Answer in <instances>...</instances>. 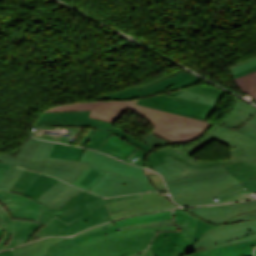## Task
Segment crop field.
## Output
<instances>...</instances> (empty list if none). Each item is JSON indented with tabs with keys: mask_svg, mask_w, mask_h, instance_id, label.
Listing matches in <instances>:
<instances>
[{
	"mask_svg": "<svg viewBox=\"0 0 256 256\" xmlns=\"http://www.w3.org/2000/svg\"><path fill=\"white\" fill-rule=\"evenodd\" d=\"M226 173H228V172H220V173H213V174H207V175H201V176L183 178V179L168 181V182H166V183H167L168 186H170V185L180 184V183L189 182V181H194V180H199V179H204V178L222 176V175H225Z\"/></svg>",
	"mask_w": 256,
	"mask_h": 256,
	"instance_id": "c21b1889",
	"label": "crop field"
},
{
	"mask_svg": "<svg viewBox=\"0 0 256 256\" xmlns=\"http://www.w3.org/2000/svg\"><path fill=\"white\" fill-rule=\"evenodd\" d=\"M181 210V212H179ZM174 221L181 227V238L175 255L184 254L190 245L196 226V218L182 209L174 210Z\"/></svg>",
	"mask_w": 256,
	"mask_h": 256,
	"instance_id": "92a150f3",
	"label": "crop field"
},
{
	"mask_svg": "<svg viewBox=\"0 0 256 256\" xmlns=\"http://www.w3.org/2000/svg\"><path fill=\"white\" fill-rule=\"evenodd\" d=\"M153 226H176V224H174L172 220H163V221L149 222V223H142V224H137L133 226L121 227L119 229L127 230V229H133V228L153 227Z\"/></svg>",
	"mask_w": 256,
	"mask_h": 256,
	"instance_id": "c035e120",
	"label": "crop field"
},
{
	"mask_svg": "<svg viewBox=\"0 0 256 256\" xmlns=\"http://www.w3.org/2000/svg\"><path fill=\"white\" fill-rule=\"evenodd\" d=\"M65 237H49L45 239L38 240L36 242L27 244L20 248H15L14 252L16 256H42L45 254L47 248L63 239Z\"/></svg>",
	"mask_w": 256,
	"mask_h": 256,
	"instance_id": "730fd06b",
	"label": "crop field"
},
{
	"mask_svg": "<svg viewBox=\"0 0 256 256\" xmlns=\"http://www.w3.org/2000/svg\"><path fill=\"white\" fill-rule=\"evenodd\" d=\"M0 256H13L12 250L6 252H0Z\"/></svg>",
	"mask_w": 256,
	"mask_h": 256,
	"instance_id": "9d1cf04e",
	"label": "crop field"
},
{
	"mask_svg": "<svg viewBox=\"0 0 256 256\" xmlns=\"http://www.w3.org/2000/svg\"><path fill=\"white\" fill-rule=\"evenodd\" d=\"M130 198H142V196L141 194H138L130 196L112 197L88 204V207L90 208L92 213L72 222L69 225L55 217L45 227H39L34 234L43 237L70 236L77 234L85 229L112 220L105 204Z\"/></svg>",
	"mask_w": 256,
	"mask_h": 256,
	"instance_id": "d8731c3e",
	"label": "crop field"
},
{
	"mask_svg": "<svg viewBox=\"0 0 256 256\" xmlns=\"http://www.w3.org/2000/svg\"><path fill=\"white\" fill-rule=\"evenodd\" d=\"M84 148L56 143L50 156L79 160Z\"/></svg>",
	"mask_w": 256,
	"mask_h": 256,
	"instance_id": "eef30255",
	"label": "crop field"
},
{
	"mask_svg": "<svg viewBox=\"0 0 256 256\" xmlns=\"http://www.w3.org/2000/svg\"><path fill=\"white\" fill-rule=\"evenodd\" d=\"M186 210L206 222L223 225L256 218V200L186 208Z\"/></svg>",
	"mask_w": 256,
	"mask_h": 256,
	"instance_id": "3316defc",
	"label": "crop field"
},
{
	"mask_svg": "<svg viewBox=\"0 0 256 256\" xmlns=\"http://www.w3.org/2000/svg\"><path fill=\"white\" fill-rule=\"evenodd\" d=\"M151 177V179L153 180L154 182V186L158 189V190H167L165 185H164V182L161 178V175H149Z\"/></svg>",
	"mask_w": 256,
	"mask_h": 256,
	"instance_id": "d23c7cc5",
	"label": "crop field"
},
{
	"mask_svg": "<svg viewBox=\"0 0 256 256\" xmlns=\"http://www.w3.org/2000/svg\"><path fill=\"white\" fill-rule=\"evenodd\" d=\"M254 70H256V66H254V67H252V68H250V69H248V70H246V71H244V72L235 74V75L233 76V78L235 79V78H237V77H239V76H242V75L247 74V73H249V72H252V71H254Z\"/></svg>",
	"mask_w": 256,
	"mask_h": 256,
	"instance_id": "0fb4a251",
	"label": "crop field"
},
{
	"mask_svg": "<svg viewBox=\"0 0 256 256\" xmlns=\"http://www.w3.org/2000/svg\"><path fill=\"white\" fill-rule=\"evenodd\" d=\"M254 59H256V57H253V58H251V59L245 60V61H243V62H241V63H238V64H235V65L229 66V69H232V68L237 67V66H239V65L245 64V63L250 62V61H252V60H254Z\"/></svg>",
	"mask_w": 256,
	"mask_h": 256,
	"instance_id": "1d79db26",
	"label": "crop field"
},
{
	"mask_svg": "<svg viewBox=\"0 0 256 256\" xmlns=\"http://www.w3.org/2000/svg\"><path fill=\"white\" fill-rule=\"evenodd\" d=\"M113 158L86 149L80 161L89 165L71 184L107 197L157 190L143 168Z\"/></svg>",
	"mask_w": 256,
	"mask_h": 256,
	"instance_id": "ac0d7876",
	"label": "crop field"
},
{
	"mask_svg": "<svg viewBox=\"0 0 256 256\" xmlns=\"http://www.w3.org/2000/svg\"><path fill=\"white\" fill-rule=\"evenodd\" d=\"M190 75L189 73L185 72V71H181L175 75H172L170 76L169 78L163 80V81H160L154 85H151L149 87H146L144 89H142L141 91H139V93L142 95V96H145V95H149L150 93L160 89V88H163L173 82H176V81H179L183 78H185L186 76Z\"/></svg>",
	"mask_w": 256,
	"mask_h": 256,
	"instance_id": "750c4746",
	"label": "crop field"
},
{
	"mask_svg": "<svg viewBox=\"0 0 256 256\" xmlns=\"http://www.w3.org/2000/svg\"><path fill=\"white\" fill-rule=\"evenodd\" d=\"M233 98L236 103L233 111L219 124L236 128L250 116L256 113V108L234 96Z\"/></svg>",
	"mask_w": 256,
	"mask_h": 256,
	"instance_id": "4177f3b9",
	"label": "crop field"
},
{
	"mask_svg": "<svg viewBox=\"0 0 256 256\" xmlns=\"http://www.w3.org/2000/svg\"><path fill=\"white\" fill-rule=\"evenodd\" d=\"M183 69H184V68H182V69H180V70H178V71H176V72H173V73H171V74H169V75H167V76H165V77H162V78H160V79H158V80H156V81H153V82H151V83H149V84H147V85H145V86H143V87L138 86V87L130 88V89L123 90V91H120V92H116V93H112V94H108V95H104V96L92 98L91 100L100 99V98H108V99H127V98L141 97L140 94L137 92L138 90H140V89H142V88H144V87H146V86H149V85H151V84H153V83H155V82H158V81H160V80H163V79L167 78L168 76H170V75H172V74H175V73H177V72H179V71H181V70H183Z\"/></svg>",
	"mask_w": 256,
	"mask_h": 256,
	"instance_id": "ae1a2a85",
	"label": "crop field"
},
{
	"mask_svg": "<svg viewBox=\"0 0 256 256\" xmlns=\"http://www.w3.org/2000/svg\"><path fill=\"white\" fill-rule=\"evenodd\" d=\"M236 130H239L256 139V114Z\"/></svg>",
	"mask_w": 256,
	"mask_h": 256,
	"instance_id": "b80d0937",
	"label": "crop field"
},
{
	"mask_svg": "<svg viewBox=\"0 0 256 256\" xmlns=\"http://www.w3.org/2000/svg\"><path fill=\"white\" fill-rule=\"evenodd\" d=\"M255 256H256V250H255Z\"/></svg>",
	"mask_w": 256,
	"mask_h": 256,
	"instance_id": "db79e9e6",
	"label": "crop field"
},
{
	"mask_svg": "<svg viewBox=\"0 0 256 256\" xmlns=\"http://www.w3.org/2000/svg\"><path fill=\"white\" fill-rule=\"evenodd\" d=\"M180 234V231L158 233L152 245H150L155 256L174 255L178 246Z\"/></svg>",
	"mask_w": 256,
	"mask_h": 256,
	"instance_id": "00972430",
	"label": "crop field"
},
{
	"mask_svg": "<svg viewBox=\"0 0 256 256\" xmlns=\"http://www.w3.org/2000/svg\"><path fill=\"white\" fill-rule=\"evenodd\" d=\"M176 227H153V228H141V229H133V230H127V231H119L115 233H109L104 236L95 237L90 240H87L84 243H80L81 246L110 237L114 235H120V234H128V233H136V232H145V231H164V230H176Z\"/></svg>",
	"mask_w": 256,
	"mask_h": 256,
	"instance_id": "bd1437ed",
	"label": "crop field"
},
{
	"mask_svg": "<svg viewBox=\"0 0 256 256\" xmlns=\"http://www.w3.org/2000/svg\"><path fill=\"white\" fill-rule=\"evenodd\" d=\"M164 159H166L168 162L155 166L151 169L156 170L157 172L163 174V177L166 181L219 171H227L222 166L211 168H195L193 166L183 164L168 156Z\"/></svg>",
	"mask_w": 256,
	"mask_h": 256,
	"instance_id": "5142ce71",
	"label": "crop field"
},
{
	"mask_svg": "<svg viewBox=\"0 0 256 256\" xmlns=\"http://www.w3.org/2000/svg\"><path fill=\"white\" fill-rule=\"evenodd\" d=\"M136 100L111 102H81L51 107L44 112L91 110L90 116L115 122L128 108L137 112L153 124V132L173 143H188L197 139L213 126L202 120L171 114L135 104Z\"/></svg>",
	"mask_w": 256,
	"mask_h": 256,
	"instance_id": "8a807250",
	"label": "crop field"
},
{
	"mask_svg": "<svg viewBox=\"0 0 256 256\" xmlns=\"http://www.w3.org/2000/svg\"><path fill=\"white\" fill-rule=\"evenodd\" d=\"M82 127L33 126L29 135L71 144ZM81 132V131H80Z\"/></svg>",
	"mask_w": 256,
	"mask_h": 256,
	"instance_id": "4a817a6b",
	"label": "crop field"
},
{
	"mask_svg": "<svg viewBox=\"0 0 256 256\" xmlns=\"http://www.w3.org/2000/svg\"><path fill=\"white\" fill-rule=\"evenodd\" d=\"M46 177V175L40 174L39 177L34 181V183H31L32 185L25 192H23V195L28 197Z\"/></svg>",
	"mask_w": 256,
	"mask_h": 256,
	"instance_id": "5d738f31",
	"label": "crop field"
},
{
	"mask_svg": "<svg viewBox=\"0 0 256 256\" xmlns=\"http://www.w3.org/2000/svg\"><path fill=\"white\" fill-rule=\"evenodd\" d=\"M136 148L137 147L113 134L97 150L124 161Z\"/></svg>",
	"mask_w": 256,
	"mask_h": 256,
	"instance_id": "a9b5d70f",
	"label": "crop field"
},
{
	"mask_svg": "<svg viewBox=\"0 0 256 256\" xmlns=\"http://www.w3.org/2000/svg\"><path fill=\"white\" fill-rule=\"evenodd\" d=\"M59 180L47 177L35 190L34 192L29 196V198L36 200L38 197H40L45 191H47L50 187H52L54 184H56Z\"/></svg>",
	"mask_w": 256,
	"mask_h": 256,
	"instance_id": "028f5c9d",
	"label": "crop field"
},
{
	"mask_svg": "<svg viewBox=\"0 0 256 256\" xmlns=\"http://www.w3.org/2000/svg\"><path fill=\"white\" fill-rule=\"evenodd\" d=\"M89 112L90 111L41 113L34 125H67L97 128L83 145L93 149L98 148L113 133L146 152L152 148L113 126V123L88 118Z\"/></svg>",
	"mask_w": 256,
	"mask_h": 256,
	"instance_id": "f4fd0767",
	"label": "crop field"
},
{
	"mask_svg": "<svg viewBox=\"0 0 256 256\" xmlns=\"http://www.w3.org/2000/svg\"><path fill=\"white\" fill-rule=\"evenodd\" d=\"M147 251H148V255H149V256H152V254H151L149 248L147 249Z\"/></svg>",
	"mask_w": 256,
	"mask_h": 256,
	"instance_id": "0765c3eb",
	"label": "crop field"
},
{
	"mask_svg": "<svg viewBox=\"0 0 256 256\" xmlns=\"http://www.w3.org/2000/svg\"><path fill=\"white\" fill-rule=\"evenodd\" d=\"M180 92L181 90L159 96L142 98L137 104L202 120H206L215 109V106L174 97Z\"/></svg>",
	"mask_w": 256,
	"mask_h": 256,
	"instance_id": "28ad6ade",
	"label": "crop field"
},
{
	"mask_svg": "<svg viewBox=\"0 0 256 256\" xmlns=\"http://www.w3.org/2000/svg\"><path fill=\"white\" fill-rule=\"evenodd\" d=\"M163 219H172V210L170 211H161L157 213H150V214H142L136 217H129V218H124L115 221L116 225L102 228L100 230H97L95 232H92L90 234L84 235L82 237H79L77 239H74L76 242H84L87 239H90L95 236H100L104 235L109 232H115L118 231V227L120 226H127V225H133L137 223H142V222H149V221H157V220H163Z\"/></svg>",
	"mask_w": 256,
	"mask_h": 256,
	"instance_id": "733c2abd",
	"label": "crop field"
},
{
	"mask_svg": "<svg viewBox=\"0 0 256 256\" xmlns=\"http://www.w3.org/2000/svg\"><path fill=\"white\" fill-rule=\"evenodd\" d=\"M110 225H114V222H109V223L100 225V226H98V227H95V228H92V229L87 230V231H85V232H82V233H80V234H78V235H76V236H74V237H71V238L74 239V238H76V237L82 236V235H84V234L90 233V232H92V231H95V230H97V229H100V228L106 227V226H110Z\"/></svg>",
	"mask_w": 256,
	"mask_h": 256,
	"instance_id": "73cf0c24",
	"label": "crop field"
},
{
	"mask_svg": "<svg viewBox=\"0 0 256 256\" xmlns=\"http://www.w3.org/2000/svg\"><path fill=\"white\" fill-rule=\"evenodd\" d=\"M195 88H199V89H202V90H205V91H209V92H212V93H215V94H219V95H223L224 92L214 88V87H207V86H198V87H195Z\"/></svg>",
	"mask_w": 256,
	"mask_h": 256,
	"instance_id": "89e229c0",
	"label": "crop field"
},
{
	"mask_svg": "<svg viewBox=\"0 0 256 256\" xmlns=\"http://www.w3.org/2000/svg\"><path fill=\"white\" fill-rule=\"evenodd\" d=\"M193 154L184 148H159L151 153L147 157L148 167H153L155 165L166 162L163 158L167 155L176 158L177 160L193 165L196 167H211L222 165L225 167L230 174L237 178L240 182L244 179L256 177V160L245 161V162H235L229 163V159L223 160H198L190 155Z\"/></svg>",
	"mask_w": 256,
	"mask_h": 256,
	"instance_id": "5a996713",
	"label": "crop field"
},
{
	"mask_svg": "<svg viewBox=\"0 0 256 256\" xmlns=\"http://www.w3.org/2000/svg\"><path fill=\"white\" fill-rule=\"evenodd\" d=\"M146 152L143 150L137 148L135 152H133L126 160L125 162L135 164L137 166H143V157Z\"/></svg>",
	"mask_w": 256,
	"mask_h": 256,
	"instance_id": "03da06ac",
	"label": "crop field"
},
{
	"mask_svg": "<svg viewBox=\"0 0 256 256\" xmlns=\"http://www.w3.org/2000/svg\"><path fill=\"white\" fill-rule=\"evenodd\" d=\"M251 193L256 192V178L241 182Z\"/></svg>",
	"mask_w": 256,
	"mask_h": 256,
	"instance_id": "425ffa30",
	"label": "crop field"
},
{
	"mask_svg": "<svg viewBox=\"0 0 256 256\" xmlns=\"http://www.w3.org/2000/svg\"><path fill=\"white\" fill-rule=\"evenodd\" d=\"M103 198L104 197L82 190L64 206L62 205L63 207H61L59 210L43 204L38 221L46 225L52 218L56 216L69 224L72 221L90 213V210L86 204Z\"/></svg>",
	"mask_w": 256,
	"mask_h": 256,
	"instance_id": "d1516ede",
	"label": "crop field"
},
{
	"mask_svg": "<svg viewBox=\"0 0 256 256\" xmlns=\"http://www.w3.org/2000/svg\"><path fill=\"white\" fill-rule=\"evenodd\" d=\"M231 148L230 162L256 159V140L227 127L215 139Z\"/></svg>",
	"mask_w": 256,
	"mask_h": 256,
	"instance_id": "cbeb9de0",
	"label": "crop field"
},
{
	"mask_svg": "<svg viewBox=\"0 0 256 256\" xmlns=\"http://www.w3.org/2000/svg\"><path fill=\"white\" fill-rule=\"evenodd\" d=\"M254 65H256V60H255V61H252V62H250V63H247V64H245V65L239 66V67H237V68H234V69L230 70V72H231V74L233 75V74H235V73L244 71V70H246V69H248V68H250V67H252V66H254Z\"/></svg>",
	"mask_w": 256,
	"mask_h": 256,
	"instance_id": "25e5ab78",
	"label": "crop field"
},
{
	"mask_svg": "<svg viewBox=\"0 0 256 256\" xmlns=\"http://www.w3.org/2000/svg\"><path fill=\"white\" fill-rule=\"evenodd\" d=\"M39 226L36 222L10 220L5 207L0 204V250L25 243Z\"/></svg>",
	"mask_w": 256,
	"mask_h": 256,
	"instance_id": "22f410ed",
	"label": "crop field"
},
{
	"mask_svg": "<svg viewBox=\"0 0 256 256\" xmlns=\"http://www.w3.org/2000/svg\"><path fill=\"white\" fill-rule=\"evenodd\" d=\"M185 90L191 91V92H195V93H199V94H204V95L212 96V97H216V98H221V96H219V95H215V94H212V93H209V92H205V91H202V90H199V89H195V88H190V89H185Z\"/></svg>",
	"mask_w": 256,
	"mask_h": 256,
	"instance_id": "1f2cbd36",
	"label": "crop field"
},
{
	"mask_svg": "<svg viewBox=\"0 0 256 256\" xmlns=\"http://www.w3.org/2000/svg\"><path fill=\"white\" fill-rule=\"evenodd\" d=\"M0 201L8 205L13 217L38 219L41 203L30 200L20 194L0 191Z\"/></svg>",
	"mask_w": 256,
	"mask_h": 256,
	"instance_id": "d9b57169",
	"label": "crop field"
},
{
	"mask_svg": "<svg viewBox=\"0 0 256 256\" xmlns=\"http://www.w3.org/2000/svg\"><path fill=\"white\" fill-rule=\"evenodd\" d=\"M223 128L224 127L214 125L200 142H198L192 146H188V147H184V148L188 149L194 153L195 151H197L198 149L203 147L205 144H207L208 142H210L211 140L216 138L218 136V134L223 130Z\"/></svg>",
	"mask_w": 256,
	"mask_h": 256,
	"instance_id": "1d83c4d3",
	"label": "crop field"
},
{
	"mask_svg": "<svg viewBox=\"0 0 256 256\" xmlns=\"http://www.w3.org/2000/svg\"><path fill=\"white\" fill-rule=\"evenodd\" d=\"M240 91L256 100V71L235 79Z\"/></svg>",
	"mask_w": 256,
	"mask_h": 256,
	"instance_id": "d3111659",
	"label": "crop field"
},
{
	"mask_svg": "<svg viewBox=\"0 0 256 256\" xmlns=\"http://www.w3.org/2000/svg\"><path fill=\"white\" fill-rule=\"evenodd\" d=\"M252 239H256V220L223 226L209 225L197 220L189 248L198 252Z\"/></svg>",
	"mask_w": 256,
	"mask_h": 256,
	"instance_id": "e52e79f7",
	"label": "crop field"
},
{
	"mask_svg": "<svg viewBox=\"0 0 256 256\" xmlns=\"http://www.w3.org/2000/svg\"><path fill=\"white\" fill-rule=\"evenodd\" d=\"M55 143L28 138L19 149L0 154V162L12 165L0 182V190L10 191L24 169L39 171L71 183L87 167L76 160L48 157Z\"/></svg>",
	"mask_w": 256,
	"mask_h": 256,
	"instance_id": "34b2d1b8",
	"label": "crop field"
},
{
	"mask_svg": "<svg viewBox=\"0 0 256 256\" xmlns=\"http://www.w3.org/2000/svg\"><path fill=\"white\" fill-rule=\"evenodd\" d=\"M136 256H147V253H146V251H144V252L139 253V254L136 255Z\"/></svg>",
	"mask_w": 256,
	"mask_h": 256,
	"instance_id": "447ae74e",
	"label": "crop field"
},
{
	"mask_svg": "<svg viewBox=\"0 0 256 256\" xmlns=\"http://www.w3.org/2000/svg\"><path fill=\"white\" fill-rule=\"evenodd\" d=\"M143 199H131L124 200L112 204H108L107 207L111 214L130 210V209H139L148 206H155L161 204L170 203L163 196L157 192H149L142 194Z\"/></svg>",
	"mask_w": 256,
	"mask_h": 256,
	"instance_id": "214f88e0",
	"label": "crop field"
},
{
	"mask_svg": "<svg viewBox=\"0 0 256 256\" xmlns=\"http://www.w3.org/2000/svg\"><path fill=\"white\" fill-rule=\"evenodd\" d=\"M176 97L186 98V99H190V100H194V101H198V102H204V103H208V104L216 105V106L219 101V99H216V98L203 96V95H199V94H195V93H191V92H186L183 90H182V93L177 95Z\"/></svg>",
	"mask_w": 256,
	"mask_h": 256,
	"instance_id": "d32e631a",
	"label": "crop field"
},
{
	"mask_svg": "<svg viewBox=\"0 0 256 256\" xmlns=\"http://www.w3.org/2000/svg\"><path fill=\"white\" fill-rule=\"evenodd\" d=\"M142 142L150 145V146H154V145H168V144H172L171 142H169L168 140L164 139V138H157L155 136H153L152 134H149L147 136H145L144 138H142L141 140Z\"/></svg>",
	"mask_w": 256,
	"mask_h": 256,
	"instance_id": "b54c1fbb",
	"label": "crop field"
},
{
	"mask_svg": "<svg viewBox=\"0 0 256 256\" xmlns=\"http://www.w3.org/2000/svg\"><path fill=\"white\" fill-rule=\"evenodd\" d=\"M244 186L233 191L232 193L220 198L223 203L236 202L253 198L251 193Z\"/></svg>",
	"mask_w": 256,
	"mask_h": 256,
	"instance_id": "120bbe31",
	"label": "crop field"
},
{
	"mask_svg": "<svg viewBox=\"0 0 256 256\" xmlns=\"http://www.w3.org/2000/svg\"><path fill=\"white\" fill-rule=\"evenodd\" d=\"M79 191L81 189L60 181L38 198L37 201L59 209Z\"/></svg>",
	"mask_w": 256,
	"mask_h": 256,
	"instance_id": "bc2a9ffb",
	"label": "crop field"
},
{
	"mask_svg": "<svg viewBox=\"0 0 256 256\" xmlns=\"http://www.w3.org/2000/svg\"><path fill=\"white\" fill-rule=\"evenodd\" d=\"M255 247L256 240H252L248 242L215 248L203 252L193 253L187 256H253V250Z\"/></svg>",
	"mask_w": 256,
	"mask_h": 256,
	"instance_id": "dafd665d",
	"label": "crop field"
},
{
	"mask_svg": "<svg viewBox=\"0 0 256 256\" xmlns=\"http://www.w3.org/2000/svg\"><path fill=\"white\" fill-rule=\"evenodd\" d=\"M243 186L229 173L222 177L204 179L170 186L173 200L182 206H196L222 203L220 197ZM218 198L219 201H214Z\"/></svg>",
	"mask_w": 256,
	"mask_h": 256,
	"instance_id": "dd49c442",
	"label": "crop field"
},
{
	"mask_svg": "<svg viewBox=\"0 0 256 256\" xmlns=\"http://www.w3.org/2000/svg\"><path fill=\"white\" fill-rule=\"evenodd\" d=\"M38 175L39 173L25 170V172L16 182L15 186L26 190L31 185V183L37 178Z\"/></svg>",
	"mask_w": 256,
	"mask_h": 256,
	"instance_id": "e1f06a70",
	"label": "crop field"
},
{
	"mask_svg": "<svg viewBox=\"0 0 256 256\" xmlns=\"http://www.w3.org/2000/svg\"><path fill=\"white\" fill-rule=\"evenodd\" d=\"M200 80H201L200 78L190 75V76L186 77L185 79H183L179 82L173 83L157 92H163V91H167V90L183 88V87L189 86L193 83L199 82ZM157 92H155V93H157Z\"/></svg>",
	"mask_w": 256,
	"mask_h": 256,
	"instance_id": "0bd39190",
	"label": "crop field"
},
{
	"mask_svg": "<svg viewBox=\"0 0 256 256\" xmlns=\"http://www.w3.org/2000/svg\"><path fill=\"white\" fill-rule=\"evenodd\" d=\"M173 207H176V206H174L173 204L161 205V206L143 208V209H139V210H131V211H127V212L112 215L111 217L114 220V219L121 218V217L128 216V215H134V214H139V213L163 210V209H168V208H173Z\"/></svg>",
	"mask_w": 256,
	"mask_h": 256,
	"instance_id": "5866460e",
	"label": "crop field"
},
{
	"mask_svg": "<svg viewBox=\"0 0 256 256\" xmlns=\"http://www.w3.org/2000/svg\"><path fill=\"white\" fill-rule=\"evenodd\" d=\"M157 232L115 236L81 247L65 238L49 247L46 256H130L147 248Z\"/></svg>",
	"mask_w": 256,
	"mask_h": 256,
	"instance_id": "412701ff",
	"label": "crop field"
},
{
	"mask_svg": "<svg viewBox=\"0 0 256 256\" xmlns=\"http://www.w3.org/2000/svg\"><path fill=\"white\" fill-rule=\"evenodd\" d=\"M45 256V255H44Z\"/></svg>",
	"mask_w": 256,
	"mask_h": 256,
	"instance_id": "7b73153f",
	"label": "crop field"
},
{
	"mask_svg": "<svg viewBox=\"0 0 256 256\" xmlns=\"http://www.w3.org/2000/svg\"><path fill=\"white\" fill-rule=\"evenodd\" d=\"M9 168H10V165L0 163V181L3 178V176L6 174Z\"/></svg>",
	"mask_w": 256,
	"mask_h": 256,
	"instance_id": "dbb93151",
	"label": "crop field"
}]
</instances>
